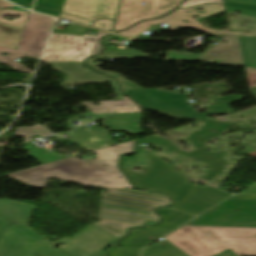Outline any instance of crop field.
Segmentation results:
<instances>
[{
  "label": "crop field",
  "mask_w": 256,
  "mask_h": 256,
  "mask_svg": "<svg viewBox=\"0 0 256 256\" xmlns=\"http://www.w3.org/2000/svg\"><path fill=\"white\" fill-rule=\"evenodd\" d=\"M135 141L94 150L97 159L72 157L8 174L26 184L43 187L48 177L98 185L102 188H133L118 167L120 154L134 151ZM102 164H107L105 167ZM119 176H122L121 178Z\"/></svg>",
  "instance_id": "crop-field-1"
},
{
  "label": "crop field",
  "mask_w": 256,
  "mask_h": 256,
  "mask_svg": "<svg viewBox=\"0 0 256 256\" xmlns=\"http://www.w3.org/2000/svg\"><path fill=\"white\" fill-rule=\"evenodd\" d=\"M102 194L99 219L93 226L120 238L133 225H143L148 221L158 222L160 217L153 209L171 203L167 196L130 189H109ZM113 226L114 228H111ZM122 226H127L126 228Z\"/></svg>",
  "instance_id": "crop-field-2"
},
{
  "label": "crop field",
  "mask_w": 256,
  "mask_h": 256,
  "mask_svg": "<svg viewBox=\"0 0 256 256\" xmlns=\"http://www.w3.org/2000/svg\"><path fill=\"white\" fill-rule=\"evenodd\" d=\"M164 239L188 256H213L229 248L237 256H256V229L183 226Z\"/></svg>",
  "instance_id": "crop-field-3"
},
{
  "label": "crop field",
  "mask_w": 256,
  "mask_h": 256,
  "mask_svg": "<svg viewBox=\"0 0 256 256\" xmlns=\"http://www.w3.org/2000/svg\"><path fill=\"white\" fill-rule=\"evenodd\" d=\"M125 94L148 110L158 111L175 119L191 118L197 122L210 119L207 117L208 114L233 113L234 110H229V104L239 101L243 97L238 95L220 97L216 106H207V113L200 114L186 103V94L156 89L133 90L127 91Z\"/></svg>",
  "instance_id": "crop-field-4"
},
{
  "label": "crop field",
  "mask_w": 256,
  "mask_h": 256,
  "mask_svg": "<svg viewBox=\"0 0 256 256\" xmlns=\"http://www.w3.org/2000/svg\"><path fill=\"white\" fill-rule=\"evenodd\" d=\"M52 25V18L31 13L22 32L17 51L0 46V53H9L8 56L0 55V62L8 64L24 73H34L15 62L14 59L24 56L40 58Z\"/></svg>",
  "instance_id": "crop-field-5"
},
{
  "label": "crop field",
  "mask_w": 256,
  "mask_h": 256,
  "mask_svg": "<svg viewBox=\"0 0 256 256\" xmlns=\"http://www.w3.org/2000/svg\"><path fill=\"white\" fill-rule=\"evenodd\" d=\"M186 225L256 228V200L228 199Z\"/></svg>",
  "instance_id": "crop-field-6"
},
{
  "label": "crop field",
  "mask_w": 256,
  "mask_h": 256,
  "mask_svg": "<svg viewBox=\"0 0 256 256\" xmlns=\"http://www.w3.org/2000/svg\"><path fill=\"white\" fill-rule=\"evenodd\" d=\"M227 126L228 124H224L213 120L205 121L204 130L194 132L192 135L188 137L190 142L196 148H198L197 150L191 153L182 151L179 148L170 144V142H168L167 140L159 139L154 136H147V139H140L139 142L163 147L209 164L208 168L211 170L206 175L205 179L213 180L221 171V169L225 166L226 162L224 160H221V156L219 154L208 153L205 149L204 144L211 137L220 136L222 132L227 128ZM208 127L211 128L208 130ZM202 134H204L203 137H201ZM217 159H219V161H217Z\"/></svg>",
  "instance_id": "crop-field-7"
},
{
  "label": "crop field",
  "mask_w": 256,
  "mask_h": 256,
  "mask_svg": "<svg viewBox=\"0 0 256 256\" xmlns=\"http://www.w3.org/2000/svg\"><path fill=\"white\" fill-rule=\"evenodd\" d=\"M96 35L52 34L43 61L47 63L83 61L89 56Z\"/></svg>",
  "instance_id": "crop-field-8"
},
{
  "label": "crop field",
  "mask_w": 256,
  "mask_h": 256,
  "mask_svg": "<svg viewBox=\"0 0 256 256\" xmlns=\"http://www.w3.org/2000/svg\"><path fill=\"white\" fill-rule=\"evenodd\" d=\"M182 0H122L114 31L122 30L146 18H154L171 11ZM145 2V5H141Z\"/></svg>",
  "instance_id": "crop-field-9"
},
{
  "label": "crop field",
  "mask_w": 256,
  "mask_h": 256,
  "mask_svg": "<svg viewBox=\"0 0 256 256\" xmlns=\"http://www.w3.org/2000/svg\"><path fill=\"white\" fill-rule=\"evenodd\" d=\"M223 38L216 46H209L205 52L200 54L179 53L172 51L170 58L204 60L212 63L230 64L244 66L239 39L237 35H214ZM223 41L227 43L224 44Z\"/></svg>",
  "instance_id": "crop-field-10"
},
{
  "label": "crop field",
  "mask_w": 256,
  "mask_h": 256,
  "mask_svg": "<svg viewBox=\"0 0 256 256\" xmlns=\"http://www.w3.org/2000/svg\"><path fill=\"white\" fill-rule=\"evenodd\" d=\"M201 6L205 9V13H203V14L196 13L193 10L195 7L188 8L185 10L178 8L177 10H175L174 12H172L171 14H169L163 18H160L158 20L145 21V22L138 24L126 31L119 32V33L121 35L132 37L142 31L150 29V25H154V24H158V23H167L168 25L171 26L169 30H175L177 28V26H180V27H191V28H194V29H197L200 31L208 32V33L223 32V31H219V30H215V29H211V28H205L200 23L193 20L191 17L194 15L193 13H195V14L199 15L200 17L204 18L211 14H214V13H217L220 11H225V7L223 5H219V4H206V5H201ZM197 7H200V6H197ZM187 10H190L191 13H186ZM187 18H189L190 20H188ZM183 19H186L187 21H189L190 24L183 23V21H182ZM191 21H194V23H192Z\"/></svg>",
  "instance_id": "crop-field-11"
},
{
  "label": "crop field",
  "mask_w": 256,
  "mask_h": 256,
  "mask_svg": "<svg viewBox=\"0 0 256 256\" xmlns=\"http://www.w3.org/2000/svg\"><path fill=\"white\" fill-rule=\"evenodd\" d=\"M116 240L118 239L90 226L61 243L68 246L62 250L73 256H101V251Z\"/></svg>",
  "instance_id": "crop-field-12"
},
{
  "label": "crop field",
  "mask_w": 256,
  "mask_h": 256,
  "mask_svg": "<svg viewBox=\"0 0 256 256\" xmlns=\"http://www.w3.org/2000/svg\"><path fill=\"white\" fill-rule=\"evenodd\" d=\"M120 0H66L62 12L96 19L114 20Z\"/></svg>",
  "instance_id": "crop-field-13"
},
{
  "label": "crop field",
  "mask_w": 256,
  "mask_h": 256,
  "mask_svg": "<svg viewBox=\"0 0 256 256\" xmlns=\"http://www.w3.org/2000/svg\"><path fill=\"white\" fill-rule=\"evenodd\" d=\"M82 63L83 62L58 63L51 65L55 67V70L61 71L67 76V78L62 82V84H89L111 82L119 100H124L123 95L119 90L118 84L114 79L105 77L95 71L83 67ZM62 67H66L67 70H61ZM91 71L94 73H90Z\"/></svg>",
  "instance_id": "crop-field-14"
},
{
  "label": "crop field",
  "mask_w": 256,
  "mask_h": 256,
  "mask_svg": "<svg viewBox=\"0 0 256 256\" xmlns=\"http://www.w3.org/2000/svg\"><path fill=\"white\" fill-rule=\"evenodd\" d=\"M20 15V19L8 21L2 15ZM27 12L0 9V45L15 49L27 20Z\"/></svg>",
  "instance_id": "crop-field-15"
},
{
  "label": "crop field",
  "mask_w": 256,
  "mask_h": 256,
  "mask_svg": "<svg viewBox=\"0 0 256 256\" xmlns=\"http://www.w3.org/2000/svg\"><path fill=\"white\" fill-rule=\"evenodd\" d=\"M112 36L110 37H106V38H103L102 39V43L105 45L106 44V41L108 38H111ZM145 57H148L147 55H139L137 53H134V52H131V53H125V52H120V51H116L115 49H105L102 54L100 56H95V57H92V58H88L85 62V65L88 66V67H92V63L94 61L95 58H115V59H132V58H145ZM94 68V67H93ZM96 70L106 74V75H109L115 79H118L120 81V84L123 88L124 91L126 90H132V89H142L140 87H138L137 85L131 83V82H127V81H124L123 78H121L118 74L116 73H113V72H105L103 70H100L98 68H95Z\"/></svg>",
  "instance_id": "crop-field-16"
},
{
  "label": "crop field",
  "mask_w": 256,
  "mask_h": 256,
  "mask_svg": "<svg viewBox=\"0 0 256 256\" xmlns=\"http://www.w3.org/2000/svg\"><path fill=\"white\" fill-rule=\"evenodd\" d=\"M125 101H109L100 102L98 106H95L94 102L81 103L82 105H87L94 113H123V112H140L139 106L127 99L125 96Z\"/></svg>",
  "instance_id": "crop-field-17"
},
{
  "label": "crop field",
  "mask_w": 256,
  "mask_h": 256,
  "mask_svg": "<svg viewBox=\"0 0 256 256\" xmlns=\"http://www.w3.org/2000/svg\"><path fill=\"white\" fill-rule=\"evenodd\" d=\"M246 67L256 68V38L240 37Z\"/></svg>",
  "instance_id": "crop-field-18"
},
{
  "label": "crop field",
  "mask_w": 256,
  "mask_h": 256,
  "mask_svg": "<svg viewBox=\"0 0 256 256\" xmlns=\"http://www.w3.org/2000/svg\"><path fill=\"white\" fill-rule=\"evenodd\" d=\"M25 149L29 150L31 153L29 156L33 157L34 159L38 160L39 162L45 164L51 161H55L54 157L57 156L61 159L64 157L58 156L59 154L53 152L52 150L48 148H42V149H37L36 146L30 142L26 143V145L23 146Z\"/></svg>",
  "instance_id": "crop-field-19"
},
{
  "label": "crop field",
  "mask_w": 256,
  "mask_h": 256,
  "mask_svg": "<svg viewBox=\"0 0 256 256\" xmlns=\"http://www.w3.org/2000/svg\"><path fill=\"white\" fill-rule=\"evenodd\" d=\"M40 135L42 137L49 136V134L44 128L42 127H26V128H17L14 136H24L25 142L31 139V135Z\"/></svg>",
  "instance_id": "crop-field-20"
},
{
  "label": "crop field",
  "mask_w": 256,
  "mask_h": 256,
  "mask_svg": "<svg viewBox=\"0 0 256 256\" xmlns=\"http://www.w3.org/2000/svg\"><path fill=\"white\" fill-rule=\"evenodd\" d=\"M140 155V161L136 160L135 157H125L123 158L122 166H147V152L138 150L137 156ZM134 162H138L140 164H134Z\"/></svg>",
  "instance_id": "crop-field-21"
},
{
  "label": "crop field",
  "mask_w": 256,
  "mask_h": 256,
  "mask_svg": "<svg viewBox=\"0 0 256 256\" xmlns=\"http://www.w3.org/2000/svg\"><path fill=\"white\" fill-rule=\"evenodd\" d=\"M88 29V27H84L78 24L71 23L67 28L63 31L53 30L52 33L59 34H73V35H83V33Z\"/></svg>",
  "instance_id": "crop-field-22"
},
{
  "label": "crop field",
  "mask_w": 256,
  "mask_h": 256,
  "mask_svg": "<svg viewBox=\"0 0 256 256\" xmlns=\"http://www.w3.org/2000/svg\"><path fill=\"white\" fill-rule=\"evenodd\" d=\"M224 2H225L226 6H231V7H236V8L256 11V5L239 3V2H233V1H227V0H224Z\"/></svg>",
  "instance_id": "crop-field-23"
},
{
  "label": "crop field",
  "mask_w": 256,
  "mask_h": 256,
  "mask_svg": "<svg viewBox=\"0 0 256 256\" xmlns=\"http://www.w3.org/2000/svg\"><path fill=\"white\" fill-rule=\"evenodd\" d=\"M222 3V0H186L184 3H182L179 7L185 8L188 6L198 5L202 3Z\"/></svg>",
  "instance_id": "crop-field-24"
},
{
  "label": "crop field",
  "mask_w": 256,
  "mask_h": 256,
  "mask_svg": "<svg viewBox=\"0 0 256 256\" xmlns=\"http://www.w3.org/2000/svg\"><path fill=\"white\" fill-rule=\"evenodd\" d=\"M61 18H65V19H69V20H73V21H77V22H80V23H83V24H86V25H89L91 26L93 23L84 19V18H81V17H77L75 15H70V14H64L62 13Z\"/></svg>",
  "instance_id": "crop-field-25"
},
{
  "label": "crop field",
  "mask_w": 256,
  "mask_h": 256,
  "mask_svg": "<svg viewBox=\"0 0 256 256\" xmlns=\"http://www.w3.org/2000/svg\"><path fill=\"white\" fill-rule=\"evenodd\" d=\"M107 34H109V33L99 31V33H98V35H97V37L95 39L94 45L92 47L91 55H95V54L99 53V50L102 49L101 44H99V38L102 35H107Z\"/></svg>",
  "instance_id": "crop-field-26"
},
{
  "label": "crop field",
  "mask_w": 256,
  "mask_h": 256,
  "mask_svg": "<svg viewBox=\"0 0 256 256\" xmlns=\"http://www.w3.org/2000/svg\"><path fill=\"white\" fill-rule=\"evenodd\" d=\"M226 10L233 11V12H240L244 16L255 17L256 18V13L255 12H249V11H244V10H239V9H232V8H226Z\"/></svg>",
  "instance_id": "crop-field-27"
},
{
  "label": "crop field",
  "mask_w": 256,
  "mask_h": 256,
  "mask_svg": "<svg viewBox=\"0 0 256 256\" xmlns=\"http://www.w3.org/2000/svg\"><path fill=\"white\" fill-rule=\"evenodd\" d=\"M239 194H256V183L248 187L244 192H240Z\"/></svg>",
  "instance_id": "crop-field-28"
},
{
  "label": "crop field",
  "mask_w": 256,
  "mask_h": 256,
  "mask_svg": "<svg viewBox=\"0 0 256 256\" xmlns=\"http://www.w3.org/2000/svg\"><path fill=\"white\" fill-rule=\"evenodd\" d=\"M10 7H14V5H12L4 0H0V8H10Z\"/></svg>",
  "instance_id": "crop-field-29"
},
{
  "label": "crop field",
  "mask_w": 256,
  "mask_h": 256,
  "mask_svg": "<svg viewBox=\"0 0 256 256\" xmlns=\"http://www.w3.org/2000/svg\"><path fill=\"white\" fill-rule=\"evenodd\" d=\"M232 198H240V199H256V197L253 196H234Z\"/></svg>",
  "instance_id": "crop-field-30"
},
{
  "label": "crop field",
  "mask_w": 256,
  "mask_h": 256,
  "mask_svg": "<svg viewBox=\"0 0 256 256\" xmlns=\"http://www.w3.org/2000/svg\"><path fill=\"white\" fill-rule=\"evenodd\" d=\"M233 1H239V2L256 4V0H233Z\"/></svg>",
  "instance_id": "crop-field-31"
},
{
  "label": "crop field",
  "mask_w": 256,
  "mask_h": 256,
  "mask_svg": "<svg viewBox=\"0 0 256 256\" xmlns=\"http://www.w3.org/2000/svg\"><path fill=\"white\" fill-rule=\"evenodd\" d=\"M11 9H15V10H23V11H26V10H24V9H21V8H19V7H15V8H11Z\"/></svg>",
  "instance_id": "crop-field-32"
}]
</instances>
